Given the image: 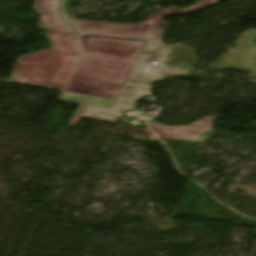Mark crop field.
<instances>
[{"instance_id":"f4fd0767","label":"crop field","mask_w":256,"mask_h":256,"mask_svg":"<svg viewBox=\"0 0 256 256\" xmlns=\"http://www.w3.org/2000/svg\"><path fill=\"white\" fill-rule=\"evenodd\" d=\"M214 121L215 116H210L184 127H165L154 121L149 122V125L159 138L193 141L203 132L210 131Z\"/></svg>"},{"instance_id":"d8731c3e","label":"crop field","mask_w":256,"mask_h":256,"mask_svg":"<svg viewBox=\"0 0 256 256\" xmlns=\"http://www.w3.org/2000/svg\"><path fill=\"white\" fill-rule=\"evenodd\" d=\"M10 81L11 82H18V83H27V84H31V85L51 87V88H57V89H61L65 85V84H62V83H55V82H44V81H35V80H27V79H15V78H11Z\"/></svg>"},{"instance_id":"8a807250","label":"crop field","mask_w":256,"mask_h":256,"mask_svg":"<svg viewBox=\"0 0 256 256\" xmlns=\"http://www.w3.org/2000/svg\"><path fill=\"white\" fill-rule=\"evenodd\" d=\"M81 37L85 52L64 90L116 99L145 40Z\"/></svg>"},{"instance_id":"e52e79f7","label":"crop field","mask_w":256,"mask_h":256,"mask_svg":"<svg viewBox=\"0 0 256 256\" xmlns=\"http://www.w3.org/2000/svg\"><path fill=\"white\" fill-rule=\"evenodd\" d=\"M58 99L77 102V103H83V104H89V105H95V106H101V107H107V108H111L114 102V100L112 99L65 92V91L61 92Z\"/></svg>"},{"instance_id":"ac0d7876","label":"crop field","mask_w":256,"mask_h":256,"mask_svg":"<svg viewBox=\"0 0 256 256\" xmlns=\"http://www.w3.org/2000/svg\"><path fill=\"white\" fill-rule=\"evenodd\" d=\"M52 48L17 60L11 77L66 83L81 53L77 34L48 32Z\"/></svg>"},{"instance_id":"34b2d1b8","label":"crop field","mask_w":256,"mask_h":256,"mask_svg":"<svg viewBox=\"0 0 256 256\" xmlns=\"http://www.w3.org/2000/svg\"><path fill=\"white\" fill-rule=\"evenodd\" d=\"M167 52L159 42L147 40L131 74L129 75L116 103L112 109L79 104L74 115L115 122L123 111L132 109L137 99L143 96L154 78L159 65L152 61L162 62Z\"/></svg>"},{"instance_id":"dd49c442","label":"crop field","mask_w":256,"mask_h":256,"mask_svg":"<svg viewBox=\"0 0 256 256\" xmlns=\"http://www.w3.org/2000/svg\"><path fill=\"white\" fill-rule=\"evenodd\" d=\"M60 0H36L33 8L40 15L39 29L55 32L76 33V30L61 20L58 12Z\"/></svg>"},{"instance_id":"5a996713","label":"crop field","mask_w":256,"mask_h":256,"mask_svg":"<svg viewBox=\"0 0 256 256\" xmlns=\"http://www.w3.org/2000/svg\"><path fill=\"white\" fill-rule=\"evenodd\" d=\"M180 74H181V68L180 67L174 68V67H167L165 65H162L155 81L159 80V79H162V78H165V77L177 76V75H180Z\"/></svg>"},{"instance_id":"412701ff","label":"crop field","mask_w":256,"mask_h":256,"mask_svg":"<svg viewBox=\"0 0 256 256\" xmlns=\"http://www.w3.org/2000/svg\"><path fill=\"white\" fill-rule=\"evenodd\" d=\"M219 1L222 0H198L194 5L186 9H177L176 7L172 6L170 8L163 9L157 13L149 15L137 25L78 21L70 19L67 20L71 24L78 27L81 32L145 37L158 40L160 36V26L163 24L164 17L176 14L191 13Z\"/></svg>"}]
</instances>
